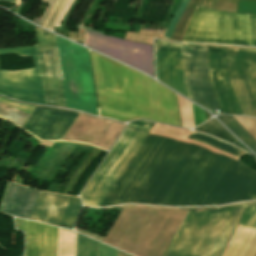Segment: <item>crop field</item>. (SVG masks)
<instances>
[{"mask_svg": "<svg viewBox=\"0 0 256 256\" xmlns=\"http://www.w3.org/2000/svg\"><path fill=\"white\" fill-rule=\"evenodd\" d=\"M199 140L237 157L243 150L194 132ZM256 199V171L193 144L162 137L118 204L209 206Z\"/></svg>", "mask_w": 256, "mask_h": 256, "instance_id": "crop-field-1", "label": "crop field"}, {"mask_svg": "<svg viewBox=\"0 0 256 256\" xmlns=\"http://www.w3.org/2000/svg\"><path fill=\"white\" fill-rule=\"evenodd\" d=\"M90 54L101 116L181 126L175 93L120 63Z\"/></svg>", "mask_w": 256, "mask_h": 256, "instance_id": "crop-field-2", "label": "crop field"}, {"mask_svg": "<svg viewBox=\"0 0 256 256\" xmlns=\"http://www.w3.org/2000/svg\"><path fill=\"white\" fill-rule=\"evenodd\" d=\"M246 206L188 211L164 256H219Z\"/></svg>", "mask_w": 256, "mask_h": 256, "instance_id": "crop-field-3", "label": "crop field"}, {"mask_svg": "<svg viewBox=\"0 0 256 256\" xmlns=\"http://www.w3.org/2000/svg\"><path fill=\"white\" fill-rule=\"evenodd\" d=\"M153 125L144 121L129 123L82 191L85 206L98 207Z\"/></svg>", "mask_w": 256, "mask_h": 256, "instance_id": "crop-field-4", "label": "crop field"}, {"mask_svg": "<svg viewBox=\"0 0 256 256\" xmlns=\"http://www.w3.org/2000/svg\"><path fill=\"white\" fill-rule=\"evenodd\" d=\"M55 38L67 108L98 116L87 50Z\"/></svg>", "mask_w": 256, "mask_h": 256, "instance_id": "crop-field-5", "label": "crop field"}, {"mask_svg": "<svg viewBox=\"0 0 256 256\" xmlns=\"http://www.w3.org/2000/svg\"><path fill=\"white\" fill-rule=\"evenodd\" d=\"M182 41L251 46L248 15L196 7Z\"/></svg>", "mask_w": 256, "mask_h": 256, "instance_id": "crop-field-6", "label": "crop field"}, {"mask_svg": "<svg viewBox=\"0 0 256 256\" xmlns=\"http://www.w3.org/2000/svg\"><path fill=\"white\" fill-rule=\"evenodd\" d=\"M7 54L33 56L35 68L0 71V94L18 101L46 105L36 46L0 50V55Z\"/></svg>", "mask_w": 256, "mask_h": 256, "instance_id": "crop-field-7", "label": "crop field"}, {"mask_svg": "<svg viewBox=\"0 0 256 256\" xmlns=\"http://www.w3.org/2000/svg\"><path fill=\"white\" fill-rule=\"evenodd\" d=\"M229 77L244 115L256 117V50L227 47Z\"/></svg>", "mask_w": 256, "mask_h": 256, "instance_id": "crop-field-8", "label": "crop field"}, {"mask_svg": "<svg viewBox=\"0 0 256 256\" xmlns=\"http://www.w3.org/2000/svg\"><path fill=\"white\" fill-rule=\"evenodd\" d=\"M185 87L191 100L222 113L209 84L206 46L181 44Z\"/></svg>", "mask_w": 256, "mask_h": 256, "instance_id": "crop-field-9", "label": "crop field"}, {"mask_svg": "<svg viewBox=\"0 0 256 256\" xmlns=\"http://www.w3.org/2000/svg\"><path fill=\"white\" fill-rule=\"evenodd\" d=\"M36 36L47 105L66 108L54 35L36 27Z\"/></svg>", "mask_w": 256, "mask_h": 256, "instance_id": "crop-field-10", "label": "crop field"}, {"mask_svg": "<svg viewBox=\"0 0 256 256\" xmlns=\"http://www.w3.org/2000/svg\"><path fill=\"white\" fill-rule=\"evenodd\" d=\"M80 199L41 191L30 219L72 229Z\"/></svg>", "mask_w": 256, "mask_h": 256, "instance_id": "crop-field-11", "label": "crop field"}, {"mask_svg": "<svg viewBox=\"0 0 256 256\" xmlns=\"http://www.w3.org/2000/svg\"><path fill=\"white\" fill-rule=\"evenodd\" d=\"M77 116L75 112L37 107L22 129L42 140H61Z\"/></svg>", "mask_w": 256, "mask_h": 256, "instance_id": "crop-field-12", "label": "crop field"}, {"mask_svg": "<svg viewBox=\"0 0 256 256\" xmlns=\"http://www.w3.org/2000/svg\"><path fill=\"white\" fill-rule=\"evenodd\" d=\"M210 78L224 113L243 115L228 78L226 48L208 46Z\"/></svg>", "mask_w": 256, "mask_h": 256, "instance_id": "crop-field-13", "label": "crop field"}, {"mask_svg": "<svg viewBox=\"0 0 256 256\" xmlns=\"http://www.w3.org/2000/svg\"><path fill=\"white\" fill-rule=\"evenodd\" d=\"M159 81L189 98L184 87L180 44L154 40Z\"/></svg>", "mask_w": 256, "mask_h": 256, "instance_id": "crop-field-14", "label": "crop field"}, {"mask_svg": "<svg viewBox=\"0 0 256 256\" xmlns=\"http://www.w3.org/2000/svg\"><path fill=\"white\" fill-rule=\"evenodd\" d=\"M26 238L24 256H56L57 228L15 218Z\"/></svg>", "mask_w": 256, "mask_h": 256, "instance_id": "crop-field-15", "label": "crop field"}, {"mask_svg": "<svg viewBox=\"0 0 256 256\" xmlns=\"http://www.w3.org/2000/svg\"><path fill=\"white\" fill-rule=\"evenodd\" d=\"M160 139V136L148 134L100 207L116 205Z\"/></svg>", "mask_w": 256, "mask_h": 256, "instance_id": "crop-field-16", "label": "crop field"}, {"mask_svg": "<svg viewBox=\"0 0 256 256\" xmlns=\"http://www.w3.org/2000/svg\"><path fill=\"white\" fill-rule=\"evenodd\" d=\"M244 128L256 138V119L233 116ZM232 116L219 115V119L246 145L256 152V139L245 130Z\"/></svg>", "mask_w": 256, "mask_h": 256, "instance_id": "crop-field-17", "label": "crop field"}, {"mask_svg": "<svg viewBox=\"0 0 256 256\" xmlns=\"http://www.w3.org/2000/svg\"><path fill=\"white\" fill-rule=\"evenodd\" d=\"M254 233L255 230L237 226L222 256H242Z\"/></svg>", "mask_w": 256, "mask_h": 256, "instance_id": "crop-field-18", "label": "crop field"}, {"mask_svg": "<svg viewBox=\"0 0 256 256\" xmlns=\"http://www.w3.org/2000/svg\"><path fill=\"white\" fill-rule=\"evenodd\" d=\"M212 0H190L188 7L178 21L176 28L170 39L180 41L185 31L188 20L196 6L209 8L211 7Z\"/></svg>", "mask_w": 256, "mask_h": 256, "instance_id": "crop-field-19", "label": "crop field"}, {"mask_svg": "<svg viewBox=\"0 0 256 256\" xmlns=\"http://www.w3.org/2000/svg\"><path fill=\"white\" fill-rule=\"evenodd\" d=\"M199 127V126H198ZM196 130L213 134L221 139H224L232 144L238 140L234 138L223 126H221L215 119L208 121Z\"/></svg>", "mask_w": 256, "mask_h": 256, "instance_id": "crop-field-20", "label": "crop field"}, {"mask_svg": "<svg viewBox=\"0 0 256 256\" xmlns=\"http://www.w3.org/2000/svg\"><path fill=\"white\" fill-rule=\"evenodd\" d=\"M0 116L22 127L29 113L0 102Z\"/></svg>", "mask_w": 256, "mask_h": 256, "instance_id": "crop-field-21", "label": "crop field"}, {"mask_svg": "<svg viewBox=\"0 0 256 256\" xmlns=\"http://www.w3.org/2000/svg\"><path fill=\"white\" fill-rule=\"evenodd\" d=\"M182 127H194L191 102L177 95Z\"/></svg>", "mask_w": 256, "mask_h": 256, "instance_id": "crop-field-22", "label": "crop field"}, {"mask_svg": "<svg viewBox=\"0 0 256 256\" xmlns=\"http://www.w3.org/2000/svg\"><path fill=\"white\" fill-rule=\"evenodd\" d=\"M96 242L78 234L77 256H95Z\"/></svg>", "mask_w": 256, "mask_h": 256, "instance_id": "crop-field-23", "label": "crop field"}, {"mask_svg": "<svg viewBox=\"0 0 256 256\" xmlns=\"http://www.w3.org/2000/svg\"><path fill=\"white\" fill-rule=\"evenodd\" d=\"M239 226L256 230V203L249 204L245 214L243 215Z\"/></svg>", "mask_w": 256, "mask_h": 256, "instance_id": "crop-field-24", "label": "crop field"}, {"mask_svg": "<svg viewBox=\"0 0 256 256\" xmlns=\"http://www.w3.org/2000/svg\"><path fill=\"white\" fill-rule=\"evenodd\" d=\"M68 0H57V2L55 3L53 9L51 10V12L48 14L44 24H43V27H46L48 22L50 21V19L52 18L49 26H48V29H51L58 16L60 15L61 11L63 10V8L65 7L66 3H67Z\"/></svg>", "mask_w": 256, "mask_h": 256, "instance_id": "crop-field-25", "label": "crop field"}, {"mask_svg": "<svg viewBox=\"0 0 256 256\" xmlns=\"http://www.w3.org/2000/svg\"><path fill=\"white\" fill-rule=\"evenodd\" d=\"M188 2H189V0H182V2H181V4H180V7H179V9H178V11H177L175 17L173 16L174 18H173L172 22L170 23V25H169V27H168L166 33H165V36H164L165 38H168V39L170 38V36H171V34H172V31H173V29H174V27H175V25H176V23H177L179 17L181 16V14L183 13V11L185 10V8H186Z\"/></svg>", "mask_w": 256, "mask_h": 256, "instance_id": "crop-field-26", "label": "crop field"}, {"mask_svg": "<svg viewBox=\"0 0 256 256\" xmlns=\"http://www.w3.org/2000/svg\"><path fill=\"white\" fill-rule=\"evenodd\" d=\"M97 256H117V250L98 242Z\"/></svg>", "mask_w": 256, "mask_h": 256, "instance_id": "crop-field-27", "label": "crop field"}, {"mask_svg": "<svg viewBox=\"0 0 256 256\" xmlns=\"http://www.w3.org/2000/svg\"><path fill=\"white\" fill-rule=\"evenodd\" d=\"M252 46H256V15H249Z\"/></svg>", "mask_w": 256, "mask_h": 256, "instance_id": "crop-field-28", "label": "crop field"}, {"mask_svg": "<svg viewBox=\"0 0 256 256\" xmlns=\"http://www.w3.org/2000/svg\"><path fill=\"white\" fill-rule=\"evenodd\" d=\"M244 256H256V233L249 244Z\"/></svg>", "mask_w": 256, "mask_h": 256, "instance_id": "crop-field-29", "label": "crop field"}, {"mask_svg": "<svg viewBox=\"0 0 256 256\" xmlns=\"http://www.w3.org/2000/svg\"><path fill=\"white\" fill-rule=\"evenodd\" d=\"M42 1L48 3L49 5H48L47 9L45 10L44 14L42 15V17L40 18L39 22H38V25H40V26L42 25L45 17L49 13L50 9L52 8V6L54 5L56 0H42Z\"/></svg>", "mask_w": 256, "mask_h": 256, "instance_id": "crop-field-30", "label": "crop field"}, {"mask_svg": "<svg viewBox=\"0 0 256 256\" xmlns=\"http://www.w3.org/2000/svg\"><path fill=\"white\" fill-rule=\"evenodd\" d=\"M74 0H69L66 7L64 8L63 12L61 13L56 25L54 27H59L60 26V21L61 19L64 17V15L66 14V12L68 11V9L71 7L72 3Z\"/></svg>", "mask_w": 256, "mask_h": 256, "instance_id": "crop-field-31", "label": "crop field"}, {"mask_svg": "<svg viewBox=\"0 0 256 256\" xmlns=\"http://www.w3.org/2000/svg\"><path fill=\"white\" fill-rule=\"evenodd\" d=\"M75 231H77L79 233H82L84 235H87L89 237H92V238H94V239H96V240H98L100 242H102V240H103V237L97 236L95 234H92V233H89V232H86V231H82V230H79V229H76V228H75Z\"/></svg>", "mask_w": 256, "mask_h": 256, "instance_id": "crop-field-32", "label": "crop field"}, {"mask_svg": "<svg viewBox=\"0 0 256 256\" xmlns=\"http://www.w3.org/2000/svg\"><path fill=\"white\" fill-rule=\"evenodd\" d=\"M118 256H131L118 250Z\"/></svg>", "mask_w": 256, "mask_h": 256, "instance_id": "crop-field-33", "label": "crop field"}]
</instances>
